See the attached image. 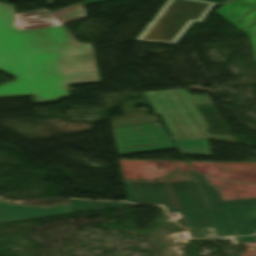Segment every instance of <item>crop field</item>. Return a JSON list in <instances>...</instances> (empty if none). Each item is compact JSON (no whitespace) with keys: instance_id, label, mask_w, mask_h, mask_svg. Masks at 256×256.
Segmentation results:
<instances>
[{"instance_id":"d9b57169","label":"crop field","mask_w":256,"mask_h":256,"mask_svg":"<svg viewBox=\"0 0 256 256\" xmlns=\"http://www.w3.org/2000/svg\"><path fill=\"white\" fill-rule=\"evenodd\" d=\"M205 1H210L215 3H224L226 0H205Z\"/></svg>"},{"instance_id":"5142ce71","label":"crop field","mask_w":256,"mask_h":256,"mask_svg":"<svg viewBox=\"0 0 256 256\" xmlns=\"http://www.w3.org/2000/svg\"><path fill=\"white\" fill-rule=\"evenodd\" d=\"M100 1H104V0H84V5L90 4V3H95V2H100Z\"/></svg>"},{"instance_id":"3316defc","label":"crop field","mask_w":256,"mask_h":256,"mask_svg":"<svg viewBox=\"0 0 256 256\" xmlns=\"http://www.w3.org/2000/svg\"><path fill=\"white\" fill-rule=\"evenodd\" d=\"M139 100L125 102L123 106H121L122 110L126 114V116H119L111 118L112 127L116 126H124V125H132V124H140V123H148V122H156L158 121L156 115L148 116L144 112H147L145 105L147 102L141 95V93H137ZM143 104L144 108H135L136 104ZM138 117V118H134ZM148 118L150 120H148ZM155 118V119H152Z\"/></svg>"},{"instance_id":"d8731c3e","label":"crop field","mask_w":256,"mask_h":256,"mask_svg":"<svg viewBox=\"0 0 256 256\" xmlns=\"http://www.w3.org/2000/svg\"><path fill=\"white\" fill-rule=\"evenodd\" d=\"M216 12L249 35L256 60V8L239 0H230Z\"/></svg>"},{"instance_id":"8a807250","label":"crop field","mask_w":256,"mask_h":256,"mask_svg":"<svg viewBox=\"0 0 256 256\" xmlns=\"http://www.w3.org/2000/svg\"><path fill=\"white\" fill-rule=\"evenodd\" d=\"M51 14L59 26L19 31L12 6L0 3V69L17 76L0 96L51 102L69 96L66 84L100 81L91 44H78L63 25L85 17L83 4Z\"/></svg>"},{"instance_id":"412701ff","label":"crop field","mask_w":256,"mask_h":256,"mask_svg":"<svg viewBox=\"0 0 256 256\" xmlns=\"http://www.w3.org/2000/svg\"><path fill=\"white\" fill-rule=\"evenodd\" d=\"M118 154L176 148L156 123L112 128Z\"/></svg>"},{"instance_id":"d1516ede","label":"crop field","mask_w":256,"mask_h":256,"mask_svg":"<svg viewBox=\"0 0 256 256\" xmlns=\"http://www.w3.org/2000/svg\"><path fill=\"white\" fill-rule=\"evenodd\" d=\"M128 205L127 203H110L98 202L88 200H71L70 213L85 211V210H98L114 207H122Z\"/></svg>"},{"instance_id":"28ad6ade","label":"crop field","mask_w":256,"mask_h":256,"mask_svg":"<svg viewBox=\"0 0 256 256\" xmlns=\"http://www.w3.org/2000/svg\"><path fill=\"white\" fill-rule=\"evenodd\" d=\"M175 141L177 148L183 154H206L210 155V147L208 139H185L172 138Z\"/></svg>"},{"instance_id":"ac0d7876","label":"crop field","mask_w":256,"mask_h":256,"mask_svg":"<svg viewBox=\"0 0 256 256\" xmlns=\"http://www.w3.org/2000/svg\"><path fill=\"white\" fill-rule=\"evenodd\" d=\"M128 200L136 203L162 204L169 212H181L191 237L235 235L225 210L209 211L198 182L188 183L184 191L173 185L159 189L131 183L124 184Z\"/></svg>"},{"instance_id":"5a996713","label":"crop field","mask_w":256,"mask_h":256,"mask_svg":"<svg viewBox=\"0 0 256 256\" xmlns=\"http://www.w3.org/2000/svg\"><path fill=\"white\" fill-rule=\"evenodd\" d=\"M69 213V204L36 208L0 201V222Z\"/></svg>"},{"instance_id":"34b2d1b8","label":"crop field","mask_w":256,"mask_h":256,"mask_svg":"<svg viewBox=\"0 0 256 256\" xmlns=\"http://www.w3.org/2000/svg\"><path fill=\"white\" fill-rule=\"evenodd\" d=\"M176 1L179 2L174 4ZM215 5L200 0H167L135 40L177 43L191 25L202 22Z\"/></svg>"},{"instance_id":"cbeb9de0","label":"crop field","mask_w":256,"mask_h":256,"mask_svg":"<svg viewBox=\"0 0 256 256\" xmlns=\"http://www.w3.org/2000/svg\"><path fill=\"white\" fill-rule=\"evenodd\" d=\"M241 1L246 2V3L256 7V0H241Z\"/></svg>"},{"instance_id":"f4fd0767","label":"crop field","mask_w":256,"mask_h":256,"mask_svg":"<svg viewBox=\"0 0 256 256\" xmlns=\"http://www.w3.org/2000/svg\"><path fill=\"white\" fill-rule=\"evenodd\" d=\"M197 177L209 209H226L236 235L256 232V199L222 202L219 191L206 182L203 174Z\"/></svg>"},{"instance_id":"dd49c442","label":"crop field","mask_w":256,"mask_h":256,"mask_svg":"<svg viewBox=\"0 0 256 256\" xmlns=\"http://www.w3.org/2000/svg\"><path fill=\"white\" fill-rule=\"evenodd\" d=\"M156 114L198 111L195 104L211 103L208 97L189 95L187 89L143 93Z\"/></svg>"},{"instance_id":"22f410ed","label":"crop field","mask_w":256,"mask_h":256,"mask_svg":"<svg viewBox=\"0 0 256 256\" xmlns=\"http://www.w3.org/2000/svg\"><path fill=\"white\" fill-rule=\"evenodd\" d=\"M238 243H244V242H256V235L255 236H250V237H239L236 238Z\"/></svg>"},{"instance_id":"e52e79f7","label":"crop field","mask_w":256,"mask_h":256,"mask_svg":"<svg viewBox=\"0 0 256 256\" xmlns=\"http://www.w3.org/2000/svg\"><path fill=\"white\" fill-rule=\"evenodd\" d=\"M163 118L174 137L216 138L235 142L232 136L209 135L206 131L209 127L200 112L163 115Z\"/></svg>"}]
</instances>
